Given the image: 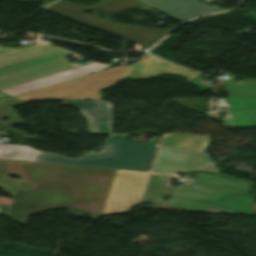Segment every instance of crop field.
Instances as JSON below:
<instances>
[{
    "label": "crop field",
    "mask_w": 256,
    "mask_h": 256,
    "mask_svg": "<svg viewBox=\"0 0 256 256\" xmlns=\"http://www.w3.org/2000/svg\"><path fill=\"white\" fill-rule=\"evenodd\" d=\"M1 96H5V95H3V94L0 93V97H1Z\"/></svg>",
    "instance_id": "obj_19"
},
{
    "label": "crop field",
    "mask_w": 256,
    "mask_h": 256,
    "mask_svg": "<svg viewBox=\"0 0 256 256\" xmlns=\"http://www.w3.org/2000/svg\"><path fill=\"white\" fill-rule=\"evenodd\" d=\"M56 51L59 52L25 63L2 68ZM65 55L66 53L62 49L52 46H39L36 44L23 48L0 47V68H2L0 69V90L67 69L93 63L91 61L84 64L69 63Z\"/></svg>",
    "instance_id": "obj_3"
},
{
    "label": "crop field",
    "mask_w": 256,
    "mask_h": 256,
    "mask_svg": "<svg viewBox=\"0 0 256 256\" xmlns=\"http://www.w3.org/2000/svg\"><path fill=\"white\" fill-rule=\"evenodd\" d=\"M62 104L77 107L87 119V131L94 134H113L112 107L108 101H62Z\"/></svg>",
    "instance_id": "obj_9"
},
{
    "label": "crop field",
    "mask_w": 256,
    "mask_h": 256,
    "mask_svg": "<svg viewBox=\"0 0 256 256\" xmlns=\"http://www.w3.org/2000/svg\"><path fill=\"white\" fill-rule=\"evenodd\" d=\"M167 201L174 206L205 212L210 208L250 216L254 196L246 192L193 181L184 189H177Z\"/></svg>",
    "instance_id": "obj_5"
},
{
    "label": "crop field",
    "mask_w": 256,
    "mask_h": 256,
    "mask_svg": "<svg viewBox=\"0 0 256 256\" xmlns=\"http://www.w3.org/2000/svg\"><path fill=\"white\" fill-rule=\"evenodd\" d=\"M231 109L223 122L233 127L256 126V97H228Z\"/></svg>",
    "instance_id": "obj_12"
},
{
    "label": "crop field",
    "mask_w": 256,
    "mask_h": 256,
    "mask_svg": "<svg viewBox=\"0 0 256 256\" xmlns=\"http://www.w3.org/2000/svg\"><path fill=\"white\" fill-rule=\"evenodd\" d=\"M116 170L14 161L9 174L21 176L8 218L25 225L27 216L59 207L100 217ZM21 183L33 184L24 191Z\"/></svg>",
    "instance_id": "obj_1"
},
{
    "label": "crop field",
    "mask_w": 256,
    "mask_h": 256,
    "mask_svg": "<svg viewBox=\"0 0 256 256\" xmlns=\"http://www.w3.org/2000/svg\"><path fill=\"white\" fill-rule=\"evenodd\" d=\"M154 9L185 22L196 16L222 11L218 6L202 4L197 0H139Z\"/></svg>",
    "instance_id": "obj_10"
},
{
    "label": "crop field",
    "mask_w": 256,
    "mask_h": 256,
    "mask_svg": "<svg viewBox=\"0 0 256 256\" xmlns=\"http://www.w3.org/2000/svg\"><path fill=\"white\" fill-rule=\"evenodd\" d=\"M194 179L216 184V185L230 187L234 189L244 190V191H248V188L252 185L249 183L232 180V179H228L220 176H215L211 174H206V173H196V176Z\"/></svg>",
    "instance_id": "obj_15"
},
{
    "label": "crop field",
    "mask_w": 256,
    "mask_h": 256,
    "mask_svg": "<svg viewBox=\"0 0 256 256\" xmlns=\"http://www.w3.org/2000/svg\"><path fill=\"white\" fill-rule=\"evenodd\" d=\"M129 66H120L47 87L22 96L19 100L101 99L100 90L126 79Z\"/></svg>",
    "instance_id": "obj_6"
},
{
    "label": "crop field",
    "mask_w": 256,
    "mask_h": 256,
    "mask_svg": "<svg viewBox=\"0 0 256 256\" xmlns=\"http://www.w3.org/2000/svg\"><path fill=\"white\" fill-rule=\"evenodd\" d=\"M129 7L140 8L144 10L152 9L151 7L137 0H110L104 4H93L86 8L69 1L60 0L45 10L116 35L126 40L135 42L148 48H150L154 43H156L159 39L168 33L160 29L142 28L139 26L127 27L116 22H109L91 17L85 13L97 8L103 10L104 13L121 12L128 9Z\"/></svg>",
    "instance_id": "obj_4"
},
{
    "label": "crop field",
    "mask_w": 256,
    "mask_h": 256,
    "mask_svg": "<svg viewBox=\"0 0 256 256\" xmlns=\"http://www.w3.org/2000/svg\"><path fill=\"white\" fill-rule=\"evenodd\" d=\"M207 171L219 174L207 153L161 146L151 172Z\"/></svg>",
    "instance_id": "obj_8"
},
{
    "label": "crop field",
    "mask_w": 256,
    "mask_h": 256,
    "mask_svg": "<svg viewBox=\"0 0 256 256\" xmlns=\"http://www.w3.org/2000/svg\"><path fill=\"white\" fill-rule=\"evenodd\" d=\"M172 176L151 174L140 203L158 204L163 197L161 192L171 193L175 187L167 185Z\"/></svg>",
    "instance_id": "obj_14"
},
{
    "label": "crop field",
    "mask_w": 256,
    "mask_h": 256,
    "mask_svg": "<svg viewBox=\"0 0 256 256\" xmlns=\"http://www.w3.org/2000/svg\"><path fill=\"white\" fill-rule=\"evenodd\" d=\"M227 84L229 96H256V80H246L243 84L220 81V85Z\"/></svg>",
    "instance_id": "obj_17"
},
{
    "label": "crop field",
    "mask_w": 256,
    "mask_h": 256,
    "mask_svg": "<svg viewBox=\"0 0 256 256\" xmlns=\"http://www.w3.org/2000/svg\"><path fill=\"white\" fill-rule=\"evenodd\" d=\"M108 67L109 65H106V64L93 63V64L67 70L61 73H57L48 77H44L32 82H28V83H25L16 87H12L9 89L1 90V91L11 96H14V95L29 92L32 90L40 89L46 86H50V85H53L62 81H66L72 78L83 76L89 73L107 69Z\"/></svg>",
    "instance_id": "obj_11"
},
{
    "label": "crop field",
    "mask_w": 256,
    "mask_h": 256,
    "mask_svg": "<svg viewBox=\"0 0 256 256\" xmlns=\"http://www.w3.org/2000/svg\"><path fill=\"white\" fill-rule=\"evenodd\" d=\"M126 138L109 136L99 153L90 150L76 160L27 146L0 144V159L148 171L157 145L125 141Z\"/></svg>",
    "instance_id": "obj_2"
},
{
    "label": "crop field",
    "mask_w": 256,
    "mask_h": 256,
    "mask_svg": "<svg viewBox=\"0 0 256 256\" xmlns=\"http://www.w3.org/2000/svg\"><path fill=\"white\" fill-rule=\"evenodd\" d=\"M12 162L13 161L0 160V187L14 196L19 181L7 178Z\"/></svg>",
    "instance_id": "obj_18"
},
{
    "label": "crop field",
    "mask_w": 256,
    "mask_h": 256,
    "mask_svg": "<svg viewBox=\"0 0 256 256\" xmlns=\"http://www.w3.org/2000/svg\"><path fill=\"white\" fill-rule=\"evenodd\" d=\"M26 103L8 96L0 98V124H23L11 107ZM8 117L10 121L3 122L1 118Z\"/></svg>",
    "instance_id": "obj_16"
},
{
    "label": "crop field",
    "mask_w": 256,
    "mask_h": 256,
    "mask_svg": "<svg viewBox=\"0 0 256 256\" xmlns=\"http://www.w3.org/2000/svg\"><path fill=\"white\" fill-rule=\"evenodd\" d=\"M148 173L117 170L101 215L126 212L139 203Z\"/></svg>",
    "instance_id": "obj_7"
},
{
    "label": "crop field",
    "mask_w": 256,
    "mask_h": 256,
    "mask_svg": "<svg viewBox=\"0 0 256 256\" xmlns=\"http://www.w3.org/2000/svg\"><path fill=\"white\" fill-rule=\"evenodd\" d=\"M209 137L199 134H171L163 138L161 145L204 152Z\"/></svg>",
    "instance_id": "obj_13"
}]
</instances>
